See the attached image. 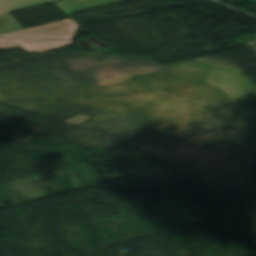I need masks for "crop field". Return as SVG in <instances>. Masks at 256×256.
I'll return each instance as SVG.
<instances>
[{
  "label": "crop field",
  "instance_id": "8a807250",
  "mask_svg": "<svg viewBox=\"0 0 256 256\" xmlns=\"http://www.w3.org/2000/svg\"><path fill=\"white\" fill-rule=\"evenodd\" d=\"M78 24L68 19L48 25H43L0 37H27V38H47V39H71Z\"/></svg>",
  "mask_w": 256,
  "mask_h": 256
},
{
  "label": "crop field",
  "instance_id": "ac0d7876",
  "mask_svg": "<svg viewBox=\"0 0 256 256\" xmlns=\"http://www.w3.org/2000/svg\"><path fill=\"white\" fill-rule=\"evenodd\" d=\"M70 44V41L32 40V39H0V49L21 46L26 51L36 49L39 52L51 50Z\"/></svg>",
  "mask_w": 256,
  "mask_h": 256
},
{
  "label": "crop field",
  "instance_id": "34b2d1b8",
  "mask_svg": "<svg viewBox=\"0 0 256 256\" xmlns=\"http://www.w3.org/2000/svg\"><path fill=\"white\" fill-rule=\"evenodd\" d=\"M122 0H64L54 3L67 14L75 13L78 11L120 2Z\"/></svg>",
  "mask_w": 256,
  "mask_h": 256
},
{
  "label": "crop field",
  "instance_id": "412701ff",
  "mask_svg": "<svg viewBox=\"0 0 256 256\" xmlns=\"http://www.w3.org/2000/svg\"><path fill=\"white\" fill-rule=\"evenodd\" d=\"M54 0H0V7L6 12H12Z\"/></svg>",
  "mask_w": 256,
  "mask_h": 256
},
{
  "label": "crop field",
  "instance_id": "f4fd0767",
  "mask_svg": "<svg viewBox=\"0 0 256 256\" xmlns=\"http://www.w3.org/2000/svg\"><path fill=\"white\" fill-rule=\"evenodd\" d=\"M22 29L20 24L9 13L0 16V35Z\"/></svg>",
  "mask_w": 256,
  "mask_h": 256
},
{
  "label": "crop field",
  "instance_id": "dd49c442",
  "mask_svg": "<svg viewBox=\"0 0 256 256\" xmlns=\"http://www.w3.org/2000/svg\"><path fill=\"white\" fill-rule=\"evenodd\" d=\"M5 14V12L0 8V15Z\"/></svg>",
  "mask_w": 256,
  "mask_h": 256
}]
</instances>
